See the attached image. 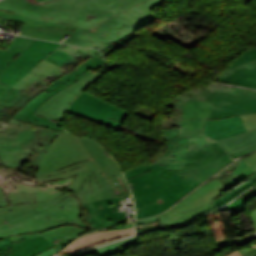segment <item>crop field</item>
<instances>
[{"instance_id": "1", "label": "crop field", "mask_w": 256, "mask_h": 256, "mask_svg": "<svg viewBox=\"0 0 256 256\" xmlns=\"http://www.w3.org/2000/svg\"><path fill=\"white\" fill-rule=\"evenodd\" d=\"M79 139L93 160L36 176L38 181H50L77 175L67 188L77 197L64 193L52 200L35 201V193L3 195L0 188V238L61 224H76L95 231L126 222L117 205L131 193L120 167L95 140Z\"/></svg>"}, {"instance_id": "2", "label": "crop field", "mask_w": 256, "mask_h": 256, "mask_svg": "<svg viewBox=\"0 0 256 256\" xmlns=\"http://www.w3.org/2000/svg\"><path fill=\"white\" fill-rule=\"evenodd\" d=\"M163 0H147L142 4L104 21L92 30L62 24L40 22L34 19L0 11V17L25 23L20 35L76 44L85 47H99L103 54L110 46L134 33L139 27L157 19L150 11Z\"/></svg>"}, {"instance_id": "3", "label": "crop field", "mask_w": 256, "mask_h": 256, "mask_svg": "<svg viewBox=\"0 0 256 256\" xmlns=\"http://www.w3.org/2000/svg\"><path fill=\"white\" fill-rule=\"evenodd\" d=\"M145 0H2L0 10L40 21L93 29L105 19Z\"/></svg>"}, {"instance_id": "4", "label": "crop field", "mask_w": 256, "mask_h": 256, "mask_svg": "<svg viewBox=\"0 0 256 256\" xmlns=\"http://www.w3.org/2000/svg\"><path fill=\"white\" fill-rule=\"evenodd\" d=\"M97 48H79L61 44L49 56L31 69L7 96L0 109V142L10 140L15 129L6 122L24 105L60 76L93 56ZM37 75L36 77L34 75Z\"/></svg>"}, {"instance_id": "5", "label": "crop field", "mask_w": 256, "mask_h": 256, "mask_svg": "<svg viewBox=\"0 0 256 256\" xmlns=\"http://www.w3.org/2000/svg\"><path fill=\"white\" fill-rule=\"evenodd\" d=\"M124 175L134 194L137 219L165 211L200 185L196 181L189 185L176 172L154 163H144Z\"/></svg>"}, {"instance_id": "6", "label": "crop field", "mask_w": 256, "mask_h": 256, "mask_svg": "<svg viewBox=\"0 0 256 256\" xmlns=\"http://www.w3.org/2000/svg\"><path fill=\"white\" fill-rule=\"evenodd\" d=\"M166 104L183 109L180 137H187L190 149L246 132L239 116L209 119L212 104L204 100L201 88L177 95Z\"/></svg>"}, {"instance_id": "7", "label": "crop field", "mask_w": 256, "mask_h": 256, "mask_svg": "<svg viewBox=\"0 0 256 256\" xmlns=\"http://www.w3.org/2000/svg\"><path fill=\"white\" fill-rule=\"evenodd\" d=\"M163 136L168 150L155 163L176 171L189 184L204 182L233 161L217 142L188 151L190 144L186 137L179 138V130L163 129Z\"/></svg>"}, {"instance_id": "8", "label": "crop field", "mask_w": 256, "mask_h": 256, "mask_svg": "<svg viewBox=\"0 0 256 256\" xmlns=\"http://www.w3.org/2000/svg\"><path fill=\"white\" fill-rule=\"evenodd\" d=\"M7 123L12 128H17V130L11 141L0 143V164L4 163L7 167L23 170L21 166H24L23 163L26 161L36 171L37 165L40 163L52 140L62 132L17 121L12 118Z\"/></svg>"}, {"instance_id": "9", "label": "crop field", "mask_w": 256, "mask_h": 256, "mask_svg": "<svg viewBox=\"0 0 256 256\" xmlns=\"http://www.w3.org/2000/svg\"><path fill=\"white\" fill-rule=\"evenodd\" d=\"M222 186L223 183L213 180L194 190L157 217L165 226H174L187 222L205 211L217 208L211 200L226 193ZM189 198L191 200H188Z\"/></svg>"}, {"instance_id": "10", "label": "crop field", "mask_w": 256, "mask_h": 256, "mask_svg": "<svg viewBox=\"0 0 256 256\" xmlns=\"http://www.w3.org/2000/svg\"><path fill=\"white\" fill-rule=\"evenodd\" d=\"M202 90L205 99L213 103L210 118L256 113V91L213 84Z\"/></svg>"}, {"instance_id": "11", "label": "crop field", "mask_w": 256, "mask_h": 256, "mask_svg": "<svg viewBox=\"0 0 256 256\" xmlns=\"http://www.w3.org/2000/svg\"><path fill=\"white\" fill-rule=\"evenodd\" d=\"M88 232L92 231L76 225L60 226L41 232L44 236L26 239L15 244L8 238L0 239V256H34L52 246L58 250L77 236Z\"/></svg>"}, {"instance_id": "12", "label": "crop field", "mask_w": 256, "mask_h": 256, "mask_svg": "<svg viewBox=\"0 0 256 256\" xmlns=\"http://www.w3.org/2000/svg\"><path fill=\"white\" fill-rule=\"evenodd\" d=\"M90 159L79 139L65 131L53 140L35 174L43 175Z\"/></svg>"}, {"instance_id": "13", "label": "crop field", "mask_w": 256, "mask_h": 256, "mask_svg": "<svg viewBox=\"0 0 256 256\" xmlns=\"http://www.w3.org/2000/svg\"><path fill=\"white\" fill-rule=\"evenodd\" d=\"M0 174L6 177L7 182L2 187L5 192H36V200H47L59 194L67 192L64 186H68L75 176L51 182H37L35 175L18 169H0Z\"/></svg>"}, {"instance_id": "14", "label": "crop field", "mask_w": 256, "mask_h": 256, "mask_svg": "<svg viewBox=\"0 0 256 256\" xmlns=\"http://www.w3.org/2000/svg\"><path fill=\"white\" fill-rule=\"evenodd\" d=\"M67 113L120 130L128 112L83 92Z\"/></svg>"}, {"instance_id": "15", "label": "crop field", "mask_w": 256, "mask_h": 256, "mask_svg": "<svg viewBox=\"0 0 256 256\" xmlns=\"http://www.w3.org/2000/svg\"><path fill=\"white\" fill-rule=\"evenodd\" d=\"M59 43L37 40L24 49L5 70L1 82L13 86L40 60L47 57L54 49L59 47Z\"/></svg>"}, {"instance_id": "16", "label": "crop field", "mask_w": 256, "mask_h": 256, "mask_svg": "<svg viewBox=\"0 0 256 256\" xmlns=\"http://www.w3.org/2000/svg\"><path fill=\"white\" fill-rule=\"evenodd\" d=\"M214 79L256 90V48L237 55Z\"/></svg>"}, {"instance_id": "17", "label": "crop field", "mask_w": 256, "mask_h": 256, "mask_svg": "<svg viewBox=\"0 0 256 256\" xmlns=\"http://www.w3.org/2000/svg\"><path fill=\"white\" fill-rule=\"evenodd\" d=\"M99 76L100 75H98L96 72H93L83 77L76 83L46 100L45 103L35 112V114L62 122L63 114L70 102Z\"/></svg>"}, {"instance_id": "18", "label": "crop field", "mask_w": 256, "mask_h": 256, "mask_svg": "<svg viewBox=\"0 0 256 256\" xmlns=\"http://www.w3.org/2000/svg\"><path fill=\"white\" fill-rule=\"evenodd\" d=\"M92 71L93 70L83 74L81 77L87 75L88 73H90ZM81 77H78L74 81L66 84L65 86L60 87L59 89H57V90H55V91H53L49 94L46 93L45 91L42 92L41 94L34 97L31 101H29L25 105V107L21 111L17 112L12 118L22 120V121H25V122H29V123H33V124H36V125L44 126V127L50 128V129H56V130L63 131L61 122L54 121V120H51V119H48V118H45V117L36 116V115H33V114L37 110V108L39 106H41L47 98H49L53 94L57 93L59 90H63L67 86L76 82Z\"/></svg>"}, {"instance_id": "19", "label": "crop field", "mask_w": 256, "mask_h": 256, "mask_svg": "<svg viewBox=\"0 0 256 256\" xmlns=\"http://www.w3.org/2000/svg\"><path fill=\"white\" fill-rule=\"evenodd\" d=\"M133 234H135V232L133 231V228L124 229V230L95 232V233L87 234L66 245L56 255L62 254V253L80 251V250L89 248L91 246H97L107 241L114 240V239L128 236V235H133Z\"/></svg>"}, {"instance_id": "20", "label": "crop field", "mask_w": 256, "mask_h": 256, "mask_svg": "<svg viewBox=\"0 0 256 256\" xmlns=\"http://www.w3.org/2000/svg\"><path fill=\"white\" fill-rule=\"evenodd\" d=\"M107 64H110L108 62H105L102 57L100 52L95 54L93 57L82 63L80 66H78L76 69L73 71L69 72L65 76L57 79L55 82L51 83L45 91L48 93L54 89L59 88L60 86L70 82L71 80L77 78L78 76H81L83 73L93 69L96 70L100 67H103Z\"/></svg>"}, {"instance_id": "21", "label": "crop field", "mask_w": 256, "mask_h": 256, "mask_svg": "<svg viewBox=\"0 0 256 256\" xmlns=\"http://www.w3.org/2000/svg\"><path fill=\"white\" fill-rule=\"evenodd\" d=\"M230 155L256 146V131L219 142Z\"/></svg>"}, {"instance_id": "22", "label": "crop field", "mask_w": 256, "mask_h": 256, "mask_svg": "<svg viewBox=\"0 0 256 256\" xmlns=\"http://www.w3.org/2000/svg\"><path fill=\"white\" fill-rule=\"evenodd\" d=\"M137 243V237L135 238H131L128 240H124V241H120L117 243H113L110 245H107L105 247L96 249V250H92L86 253H81V254H77L74 256H81L84 254H88V253H94V252H98L100 256H109L112 254H116V253H120L123 252L124 250H126L129 246L136 244Z\"/></svg>"}, {"instance_id": "23", "label": "crop field", "mask_w": 256, "mask_h": 256, "mask_svg": "<svg viewBox=\"0 0 256 256\" xmlns=\"http://www.w3.org/2000/svg\"><path fill=\"white\" fill-rule=\"evenodd\" d=\"M248 181L231 189L230 191H228L227 194L213 200V202L215 203V205L221 206L222 204L230 201L231 199H233L234 197H236L238 194H240L243 190L253 186L256 184V173L248 178H246Z\"/></svg>"}, {"instance_id": "24", "label": "crop field", "mask_w": 256, "mask_h": 256, "mask_svg": "<svg viewBox=\"0 0 256 256\" xmlns=\"http://www.w3.org/2000/svg\"><path fill=\"white\" fill-rule=\"evenodd\" d=\"M254 164H256V152L250 155L243 156L240 159L236 169L232 172V174L221 182L225 183L233 179L234 177H236L237 175H239L249 167L253 166Z\"/></svg>"}, {"instance_id": "25", "label": "crop field", "mask_w": 256, "mask_h": 256, "mask_svg": "<svg viewBox=\"0 0 256 256\" xmlns=\"http://www.w3.org/2000/svg\"><path fill=\"white\" fill-rule=\"evenodd\" d=\"M252 197H256V188L250 190L249 192H247L246 194H244L242 197H240L239 199H237L235 202L221 208L218 210V212L228 208L230 215H234L237 213H240L244 210V205L243 202L252 198Z\"/></svg>"}, {"instance_id": "26", "label": "crop field", "mask_w": 256, "mask_h": 256, "mask_svg": "<svg viewBox=\"0 0 256 256\" xmlns=\"http://www.w3.org/2000/svg\"><path fill=\"white\" fill-rule=\"evenodd\" d=\"M241 118L248 131L256 129V114L241 115Z\"/></svg>"}, {"instance_id": "27", "label": "crop field", "mask_w": 256, "mask_h": 256, "mask_svg": "<svg viewBox=\"0 0 256 256\" xmlns=\"http://www.w3.org/2000/svg\"><path fill=\"white\" fill-rule=\"evenodd\" d=\"M254 235H255V233L251 234L247 237L234 238V239H229V240H225V241L216 242L215 245H216V247H218V246H222V245H226V244H231V243H235V242L248 240V239H251Z\"/></svg>"}, {"instance_id": "28", "label": "crop field", "mask_w": 256, "mask_h": 256, "mask_svg": "<svg viewBox=\"0 0 256 256\" xmlns=\"http://www.w3.org/2000/svg\"><path fill=\"white\" fill-rule=\"evenodd\" d=\"M139 32H136L132 35H130L129 37L125 38L124 40L120 41L119 43L115 44L114 46L110 47L104 54L103 56H106L108 53H110L111 51H113L114 49H116L117 47H119L120 45L124 44L125 42H127L128 40H130L131 38L135 37L136 35H138Z\"/></svg>"}, {"instance_id": "29", "label": "crop field", "mask_w": 256, "mask_h": 256, "mask_svg": "<svg viewBox=\"0 0 256 256\" xmlns=\"http://www.w3.org/2000/svg\"><path fill=\"white\" fill-rule=\"evenodd\" d=\"M40 233H33V234H28V235H23V236H17V237H11L10 240H12L14 243L29 237H34V236H39Z\"/></svg>"}, {"instance_id": "30", "label": "crop field", "mask_w": 256, "mask_h": 256, "mask_svg": "<svg viewBox=\"0 0 256 256\" xmlns=\"http://www.w3.org/2000/svg\"><path fill=\"white\" fill-rule=\"evenodd\" d=\"M118 65H119V64L112 63V64H110V65H107V66H105V67H103V68H100V69L96 70V72L101 75V74L105 73L106 71H108V70H110V69H112V68H114V67H116V66H118Z\"/></svg>"}, {"instance_id": "31", "label": "crop field", "mask_w": 256, "mask_h": 256, "mask_svg": "<svg viewBox=\"0 0 256 256\" xmlns=\"http://www.w3.org/2000/svg\"><path fill=\"white\" fill-rule=\"evenodd\" d=\"M157 217L154 216L152 218H147V219H141V220H137L136 221V226L137 225H141V224H145V223H149V222H153V221H157Z\"/></svg>"}, {"instance_id": "32", "label": "crop field", "mask_w": 256, "mask_h": 256, "mask_svg": "<svg viewBox=\"0 0 256 256\" xmlns=\"http://www.w3.org/2000/svg\"><path fill=\"white\" fill-rule=\"evenodd\" d=\"M56 251H57L56 248L53 247V248L48 249V250H46V251H44V252H42V253H40V254H38L36 256H50V255H52Z\"/></svg>"}, {"instance_id": "33", "label": "crop field", "mask_w": 256, "mask_h": 256, "mask_svg": "<svg viewBox=\"0 0 256 256\" xmlns=\"http://www.w3.org/2000/svg\"><path fill=\"white\" fill-rule=\"evenodd\" d=\"M254 150H256V147H253V148H251V149H249L247 151H244V152H241V153H238V154H234V155H232V157L233 158H238V157L243 156V155H245L247 153H250V152H252Z\"/></svg>"}, {"instance_id": "34", "label": "crop field", "mask_w": 256, "mask_h": 256, "mask_svg": "<svg viewBox=\"0 0 256 256\" xmlns=\"http://www.w3.org/2000/svg\"><path fill=\"white\" fill-rule=\"evenodd\" d=\"M250 215H251V219H252L254 231H255V233H256V211L250 213Z\"/></svg>"}, {"instance_id": "35", "label": "crop field", "mask_w": 256, "mask_h": 256, "mask_svg": "<svg viewBox=\"0 0 256 256\" xmlns=\"http://www.w3.org/2000/svg\"><path fill=\"white\" fill-rule=\"evenodd\" d=\"M228 256H241V255L239 254L238 251H235V252L229 254Z\"/></svg>"}, {"instance_id": "36", "label": "crop field", "mask_w": 256, "mask_h": 256, "mask_svg": "<svg viewBox=\"0 0 256 256\" xmlns=\"http://www.w3.org/2000/svg\"><path fill=\"white\" fill-rule=\"evenodd\" d=\"M4 179H5V177L0 175V185L3 184Z\"/></svg>"}, {"instance_id": "37", "label": "crop field", "mask_w": 256, "mask_h": 256, "mask_svg": "<svg viewBox=\"0 0 256 256\" xmlns=\"http://www.w3.org/2000/svg\"><path fill=\"white\" fill-rule=\"evenodd\" d=\"M36 1L40 2L41 0H36Z\"/></svg>"}]
</instances>
